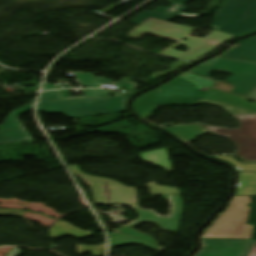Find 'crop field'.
I'll return each mask as SVG.
<instances>
[{
  "label": "crop field",
  "instance_id": "1",
  "mask_svg": "<svg viewBox=\"0 0 256 256\" xmlns=\"http://www.w3.org/2000/svg\"><path fill=\"white\" fill-rule=\"evenodd\" d=\"M86 97L108 96L109 98L79 99L39 102L37 112L62 113L68 118L125 111L129 96L110 97L107 90H82Z\"/></svg>",
  "mask_w": 256,
  "mask_h": 256
},
{
  "label": "crop field",
  "instance_id": "2",
  "mask_svg": "<svg viewBox=\"0 0 256 256\" xmlns=\"http://www.w3.org/2000/svg\"><path fill=\"white\" fill-rule=\"evenodd\" d=\"M251 207L250 197H234L228 209L205 232L204 238L251 239L254 226L247 225Z\"/></svg>",
  "mask_w": 256,
  "mask_h": 256
},
{
  "label": "crop field",
  "instance_id": "3",
  "mask_svg": "<svg viewBox=\"0 0 256 256\" xmlns=\"http://www.w3.org/2000/svg\"><path fill=\"white\" fill-rule=\"evenodd\" d=\"M212 29L236 36L256 30V0H225Z\"/></svg>",
  "mask_w": 256,
  "mask_h": 256
},
{
  "label": "crop field",
  "instance_id": "4",
  "mask_svg": "<svg viewBox=\"0 0 256 256\" xmlns=\"http://www.w3.org/2000/svg\"><path fill=\"white\" fill-rule=\"evenodd\" d=\"M34 103L35 102H32L22 108H19L11 112V115L7 117L5 123L2 126H0V130L22 128L18 121V116L33 109ZM25 140H32V138L24 129L18 131L0 132V143L22 142Z\"/></svg>",
  "mask_w": 256,
  "mask_h": 256
},
{
  "label": "crop field",
  "instance_id": "5",
  "mask_svg": "<svg viewBox=\"0 0 256 256\" xmlns=\"http://www.w3.org/2000/svg\"><path fill=\"white\" fill-rule=\"evenodd\" d=\"M187 1L188 0H178V1L168 0L167 2L172 3L170 6H168V8L159 7L154 12L144 11L141 15L132 19L131 22L139 25L142 21H144L148 17L168 21L173 19L176 16H184V17H190V18H195L199 16L196 14L183 13V11L186 9L183 6L187 3Z\"/></svg>",
  "mask_w": 256,
  "mask_h": 256
},
{
  "label": "crop field",
  "instance_id": "6",
  "mask_svg": "<svg viewBox=\"0 0 256 256\" xmlns=\"http://www.w3.org/2000/svg\"><path fill=\"white\" fill-rule=\"evenodd\" d=\"M223 57L256 62V37L244 42L238 49L225 53Z\"/></svg>",
  "mask_w": 256,
  "mask_h": 256
},
{
  "label": "crop field",
  "instance_id": "7",
  "mask_svg": "<svg viewBox=\"0 0 256 256\" xmlns=\"http://www.w3.org/2000/svg\"><path fill=\"white\" fill-rule=\"evenodd\" d=\"M74 74L82 84L83 88H101L99 84L112 82L104 77L95 78L92 74L88 73L74 72Z\"/></svg>",
  "mask_w": 256,
  "mask_h": 256
},
{
  "label": "crop field",
  "instance_id": "8",
  "mask_svg": "<svg viewBox=\"0 0 256 256\" xmlns=\"http://www.w3.org/2000/svg\"><path fill=\"white\" fill-rule=\"evenodd\" d=\"M61 99L60 91L42 93L40 101Z\"/></svg>",
  "mask_w": 256,
  "mask_h": 256
},
{
  "label": "crop field",
  "instance_id": "9",
  "mask_svg": "<svg viewBox=\"0 0 256 256\" xmlns=\"http://www.w3.org/2000/svg\"><path fill=\"white\" fill-rule=\"evenodd\" d=\"M186 64H188V63L187 62H183V61H178V62H176V64L174 65V67L172 69H170V70H168V71H166L164 73H156V74L152 75L151 77L157 78V77H159L161 75L169 74V73H171V72H173V71H175V70L185 66Z\"/></svg>",
  "mask_w": 256,
  "mask_h": 256
},
{
  "label": "crop field",
  "instance_id": "10",
  "mask_svg": "<svg viewBox=\"0 0 256 256\" xmlns=\"http://www.w3.org/2000/svg\"><path fill=\"white\" fill-rule=\"evenodd\" d=\"M48 89H56L55 86L53 84H49V83H44V87L43 90H48Z\"/></svg>",
  "mask_w": 256,
  "mask_h": 256
},
{
  "label": "crop field",
  "instance_id": "11",
  "mask_svg": "<svg viewBox=\"0 0 256 256\" xmlns=\"http://www.w3.org/2000/svg\"><path fill=\"white\" fill-rule=\"evenodd\" d=\"M248 256H256V245H255V247L252 249V251L249 253Z\"/></svg>",
  "mask_w": 256,
  "mask_h": 256
}]
</instances>
